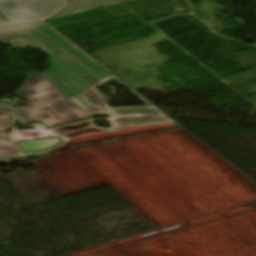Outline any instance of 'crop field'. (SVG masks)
Instances as JSON below:
<instances>
[{
  "instance_id": "8a807250",
  "label": "crop field",
  "mask_w": 256,
  "mask_h": 256,
  "mask_svg": "<svg viewBox=\"0 0 256 256\" xmlns=\"http://www.w3.org/2000/svg\"><path fill=\"white\" fill-rule=\"evenodd\" d=\"M14 94L23 98L26 106L9 111L14 121L23 124L41 121L49 128L90 117L36 70Z\"/></svg>"
},
{
  "instance_id": "ac0d7876",
  "label": "crop field",
  "mask_w": 256,
  "mask_h": 256,
  "mask_svg": "<svg viewBox=\"0 0 256 256\" xmlns=\"http://www.w3.org/2000/svg\"><path fill=\"white\" fill-rule=\"evenodd\" d=\"M67 4V0H0V12L26 22L51 17Z\"/></svg>"
},
{
  "instance_id": "34b2d1b8",
  "label": "crop field",
  "mask_w": 256,
  "mask_h": 256,
  "mask_svg": "<svg viewBox=\"0 0 256 256\" xmlns=\"http://www.w3.org/2000/svg\"><path fill=\"white\" fill-rule=\"evenodd\" d=\"M48 63L50 68L42 73L52 84L61 90L69 98L88 89L91 86L81 79L67 66L48 53Z\"/></svg>"
},
{
  "instance_id": "412701ff",
  "label": "crop field",
  "mask_w": 256,
  "mask_h": 256,
  "mask_svg": "<svg viewBox=\"0 0 256 256\" xmlns=\"http://www.w3.org/2000/svg\"><path fill=\"white\" fill-rule=\"evenodd\" d=\"M12 123L8 115H0V156L18 154V151L5 135Z\"/></svg>"
},
{
  "instance_id": "f4fd0767",
  "label": "crop field",
  "mask_w": 256,
  "mask_h": 256,
  "mask_svg": "<svg viewBox=\"0 0 256 256\" xmlns=\"http://www.w3.org/2000/svg\"><path fill=\"white\" fill-rule=\"evenodd\" d=\"M69 1L71 2V4L56 16L78 12V11H82V10H86V9H90V8H94V7H98V6H102V5H106V4H110V3H114L122 0H69Z\"/></svg>"
},
{
  "instance_id": "dd49c442",
  "label": "crop field",
  "mask_w": 256,
  "mask_h": 256,
  "mask_svg": "<svg viewBox=\"0 0 256 256\" xmlns=\"http://www.w3.org/2000/svg\"><path fill=\"white\" fill-rule=\"evenodd\" d=\"M59 142H61V140H59L58 138H51V139H40V140H34V141H28V142H20L15 144L22 151V153H25V152H31V151H37V150H44Z\"/></svg>"
},
{
  "instance_id": "e52e79f7",
  "label": "crop field",
  "mask_w": 256,
  "mask_h": 256,
  "mask_svg": "<svg viewBox=\"0 0 256 256\" xmlns=\"http://www.w3.org/2000/svg\"><path fill=\"white\" fill-rule=\"evenodd\" d=\"M41 23H29L0 27V42L20 33H27Z\"/></svg>"
},
{
  "instance_id": "d8731c3e",
  "label": "crop field",
  "mask_w": 256,
  "mask_h": 256,
  "mask_svg": "<svg viewBox=\"0 0 256 256\" xmlns=\"http://www.w3.org/2000/svg\"><path fill=\"white\" fill-rule=\"evenodd\" d=\"M24 35H25V34L15 35V36H13V37H11V38H9V39H7V40L1 42V43H3V44H5V45L8 46V45L12 44L14 41H16L17 39H19L20 37H22V36H24Z\"/></svg>"
},
{
  "instance_id": "5a996713",
  "label": "crop field",
  "mask_w": 256,
  "mask_h": 256,
  "mask_svg": "<svg viewBox=\"0 0 256 256\" xmlns=\"http://www.w3.org/2000/svg\"><path fill=\"white\" fill-rule=\"evenodd\" d=\"M7 24H13V22L8 18L0 19V26L7 25Z\"/></svg>"
},
{
  "instance_id": "3316defc",
  "label": "crop field",
  "mask_w": 256,
  "mask_h": 256,
  "mask_svg": "<svg viewBox=\"0 0 256 256\" xmlns=\"http://www.w3.org/2000/svg\"><path fill=\"white\" fill-rule=\"evenodd\" d=\"M0 113H6V111L2 105H0Z\"/></svg>"
}]
</instances>
